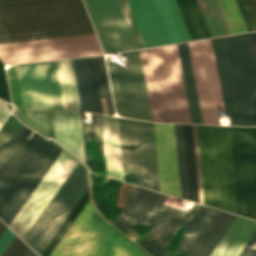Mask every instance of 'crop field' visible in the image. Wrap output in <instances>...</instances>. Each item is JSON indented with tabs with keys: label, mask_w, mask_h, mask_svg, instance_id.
<instances>
[{
	"label": "crop field",
	"mask_w": 256,
	"mask_h": 256,
	"mask_svg": "<svg viewBox=\"0 0 256 256\" xmlns=\"http://www.w3.org/2000/svg\"><path fill=\"white\" fill-rule=\"evenodd\" d=\"M197 130L204 204L256 219V126Z\"/></svg>",
	"instance_id": "crop-field-1"
},
{
	"label": "crop field",
	"mask_w": 256,
	"mask_h": 256,
	"mask_svg": "<svg viewBox=\"0 0 256 256\" xmlns=\"http://www.w3.org/2000/svg\"><path fill=\"white\" fill-rule=\"evenodd\" d=\"M170 198L136 187L113 224L126 234L135 222L154 226L140 245L153 256H159L171 237L187 223L177 250L185 256H200L228 213L195 204L190 212L184 214L163 207ZM186 203L172 197L166 207L182 210Z\"/></svg>",
	"instance_id": "crop-field-2"
},
{
	"label": "crop field",
	"mask_w": 256,
	"mask_h": 256,
	"mask_svg": "<svg viewBox=\"0 0 256 256\" xmlns=\"http://www.w3.org/2000/svg\"><path fill=\"white\" fill-rule=\"evenodd\" d=\"M90 34L81 0H0V43Z\"/></svg>",
	"instance_id": "crop-field-3"
},
{
	"label": "crop field",
	"mask_w": 256,
	"mask_h": 256,
	"mask_svg": "<svg viewBox=\"0 0 256 256\" xmlns=\"http://www.w3.org/2000/svg\"><path fill=\"white\" fill-rule=\"evenodd\" d=\"M212 41L225 111L230 113L232 125H256V73L248 33Z\"/></svg>",
	"instance_id": "crop-field-4"
},
{
	"label": "crop field",
	"mask_w": 256,
	"mask_h": 256,
	"mask_svg": "<svg viewBox=\"0 0 256 256\" xmlns=\"http://www.w3.org/2000/svg\"><path fill=\"white\" fill-rule=\"evenodd\" d=\"M139 53L153 121L191 123L176 45Z\"/></svg>",
	"instance_id": "crop-field-5"
},
{
	"label": "crop field",
	"mask_w": 256,
	"mask_h": 256,
	"mask_svg": "<svg viewBox=\"0 0 256 256\" xmlns=\"http://www.w3.org/2000/svg\"><path fill=\"white\" fill-rule=\"evenodd\" d=\"M61 149L34 132L0 181V219L7 225L20 210Z\"/></svg>",
	"instance_id": "crop-field-6"
},
{
	"label": "crop field",
	"mask_w": 256,
	"mask_h": 256,
	"mask_svg": "<svg viewBox=\"0 0 256 256\" xmlns=\"http://www.w3.org/2000/svg\"><path fill=\"white\" fill-rule=\"evenodd\" d=\"M124 181L160 191L153 123L118 118Z\"/></svg>",
	"instance_id": "crop-field-7"
},
{
	"label": "crop field",
	"mask_w": 256,
	"mask_h": 256,
	"mask_svg": "<svg viewBox=\"0 0 256 256\" xmlns=\"http://www.w3.org/2000/svg\"><path fill=\"white\" fill-rule=\"evenodd\" d=\"M146 47L190 40L174 0H127Z\"/></svg>",
	"instance_id": "crop-field-8"
},
{
	"label": "crop field",
	"mask_w": 256,
	"mask_h": 256,
	"mask_svg": "<svg viewBox=\"0 0 256 256\" xmlns=\"http://www.w3.org/2000/svg\"><path fill=\"white\" fill-rule=\"evenodd\" d=\"M87 188L86 171L78 163L24 241L41 255Z\"/></svg>",
	"instance_id": "crop-field-9"
},
{
	"label": "crop field",
	"mask_w": 256,
	"mask_h": 256,
	"mask_svg": "<svg viewBox=\"0 0 256 256\" xmlns=\"http://www.w3.org/2000/svg\"><path fill=\"white\" fill-rule=\"evenodd\" d=\"M128 65L109 63L108 72L117 114L152 121L138 51L121 53Z\"/></svg>",
	"instance_id": "crop-field-10"
},
{
	"label": "crop field",
	"mask_w": 256,
	"mask_h": 256,
	"mask_svg": "<svg viewBox=\"0 0 256 256\" xmlns=\"http://www.w3.org/2000/svg\"><path fill=\"white\" fill-rule=\"evenodd\" d=\"M103 55L95 35L0 45L4 64Z\"/></svg>",
	"instance_id": "crop-field-11"
},
{
	"label": "crop field",
	"mask_w": 256,
	"mask_h": 256,
	"mask_svg": "<svg viewBox=\"0 0 256 256\" xmlns=\"http://www.w3.org/2000/svg\"><path fill=\"white\" fill-rule=\"evenodd\" d=\"M16 67L24 107L64 110L55 61Z\"/></svg>",
	"instance_id": "crop-field-12"
},
{
	"label": "crop field",
	"mask_w": 256,
	"mask_h": 256,
	"mask_svg": "<svg viewBox=\"0 0 256 256\" xmlns=\"http://www.w3.org/2000/svg\"><path fill=\"white\" fill-rule=\"evenodd\" d=\"M106 53L138 48L118 0H84Z\"/></svg>",
	"instance_id": "crop-field-13"
},
{
	"label": "crop field",
	"mask_w": 256,
	"mask_h": 256,
	"mask_svg": "<svg viewBox=\"0 0 256 256\" xmlns=\"http://www.w3.org/2000/svg\"><path fill=\"white\" fill-rule=\"evenodd\" d=\"M74 159L62 151L45 177L10 224V228L22 239L77 165Z\"/></svg>",
	"instance_id": "crop-field-14"
},
{
	"label": "crop field",
	"mask_w": 256,
	"mask_h": 256,
	"mask_svg": "<svg viewBox=\"0 0 256 256\" xmlns=\"http://www.w3.org/2000/svg\"><path fill=\"white\" fill-rule=\"evenodd\" d=\"M107 227L89 200L50 256H87Z\"/></svg>",
	"instance_id": "crop-field-15"
},
{
	"label": "crop field",
	"mask_w": 256,
	"mask_h": 256,
	"mask_svg": "<svg viewBox=\"0 0 256 256\" xmlns=\"http://www.w3.org/2000/svg\"><path fill=\"white\" fill-rule=\"evenodd\" d=\"M212 37L231 34L217 0H197ZM196 0H176L192 40L211 37Z\"/></svg>",
	"instance_id": "crop-field-16"
},
{
	"label": "crop field",
	"mask_w": 256,
	"mask_h": 256,
	"mask_svg": "<svg viewBox=\"0 0 256 256\" xmlns=\"http://www.w3.org/2000/svg\"><path fill=\"white\" fill-rule=\"evenodd\" d=\"M188 45H189L192 66H193V71H194V76H195V81H196V86H197V91H198V96H199V101H200L203 122H204V124H211L209 112H208L207 101H206V96H205V91H204V86H203L201 70H200V65H199V60H198L196 44H195V42H191V43H188ZM188 45H187V43H184V44L177 45V47H178V52H179L184 82H185V88H186V94H187V99H188V104H189L191 121H192V123L203 124L200 107H199L197 91H196V86H195V81H194V76H193V71H192V66H191Z\"/></svg>",
	"instance_id": "crop-field-17"
},
{
	"label": "crop field",
	"mask_w": 256,
	"mask_h": 256,
	"mask_svg": "<svg viewBox=\"0 0 256 256\" xmlns=\"http://www.w3.org/2000/svg\"><path fill=\"white\" fill-rule=\"evenodd\" d=\"M154 128L161 191L181 198L174 124Z\"/></svg>",
	"instance_id": "crop-field-18"
},
{
	"label": "crop field",
	"mask_w": 256,
	"mask_h": 256,
	"mask_svg": "<svg viewBox=\"0 0 256 256\" xmlns=\"http://www.w3.org/2000/svg\"><path fill=\"white\" fill-rule=\"evenodd\" d=\"M199 60L204 80V86L209 106L212 124L220 125L219 117H223L224 105L212 47V41L203 40L196 42Z\"/></svg>",
	"instance_id": "crop-field-19"
},
{
	"label": "crop field",
	"mask_w": 256,
	"mask_h": 256,
	"mask_svg": "<svg viewBox=\"0 0 256 256\" xmlns=\"http://www.w3.org/2000/svg\"><path fill=\"white\" fill-rule=\"evenodd\" d=\"M72 61L82 111L103 114L92 57Z\"/></svg>",
	"instance_id": "crop-field-20"
},
{
	"label": "crop field",
	"mask_w": 256,
	"mask_h": 256,
	"mask_svg": "<svg viewBox=\"0 0 256 256\" xmlns=\"http://www.w3.org/2000/svg\"><path fill=\"white\" fill-rule=\"evenodd\" d=\"M56 141L85 163L79 112L53 111Z\"/></svg>",
	"instance_id": "crop-field-21"
},
{
	"label": "crop field",
	"mask_w": 256,
	"mask_h": 256,
	"mask_svg": "<svg viewBox=\"0 0 256 256\" xmlns=\"http://www.w3.org/2000/svg\"><path fill=\"white\" fill-rule=\"evenodd\" d=\"M102 127L107 176L123 181L117 118L102 115Z\"/></svg>",
	"instance_id": "crop-field-22"
},
{
	"label": "crop field",
	"mask_w": 256,
	"mask_h": 256,
	"mask_svg": "<svg viewBox=\"0 0 256 256\" xmlns=\"http://www.w3.org/2000/svg\"><path fill=\"white\" fill-rule=\"evenodd\" d=\"M256 230V221L237 216L211 256H238Z\"/></svg>",
	"instance_id": "crop-field-23"
},
{
	"label": "crop field",
	"mask_w": 256,
	"mask_h": 256,
	"mask_svg": "<svg viewBox=\"0 0 256 256\" xmlns=\"http://www.w3.org/2000/svg\"><path fill=\"white\" fill-rule=\"evenodd\" d=\"M66 110L81 111L71 61H57Z\"/></svg>",
	"instance_id": "crop-field-24"
},
{
	"label": "crop field",
	"mask_w": 256,
	"mask_h": 256,
	"mask_svg": "<svg viewBox=\"0 0 256 256\" xmlns=\"http://www.w3.org/2000/svg\"><path fill=\"white\" fill-rule=\"evenodd\" d=\"M189 200L198 202V189L191 125H182Z\"/></svg>",
	"instance_id": "crop-field-25"
},
{
	"label": "crop field",
	"mask_w": 256,
	"mask_h": 256,
	"mask_svg": "<svg viewBox=\"0 0 256 256\" xmlns=\"http://www.w3.org/2000/svg\"><path fill=\"white\" fill-rule=\"evenodd\" d=\"M128 241L109 225L88 256H118Z\"/></svg>",
	"instance_id": "crop-field-26"
},
{
	"label": "crop field",
	"mask_w": 256,
	"mask_h": 256,
	"mask_svg": "<svg viewBox=\"0 0 256 256\" xmlns=\"http://www.w3.org/2000/svg\"><path fill=\"white\" fill-rule=\"evenodd\" d=\"M95 70L99 85L100 96L106 97L109 115L114 114L112 98L110 93V87L108 82L107 70L105 65V59L103 56L93 57ZM102 107L104 114L108 115L105 98L101 97Z\"/></svg>",
	"instance_id": "crop-field-27"
},
{
	"label": "crop field",
	"mask_w": 256,
	"mask_h": 256,
	"mask_svg": "<svg viewBox=\"0 0 256 256\" xmlns=\"http://www.w3.org/2000/svg\"><path fill=\"white\" fill-rule=\"evenodd\" d=\"M232 34L247 31L235 0H218Z\"/></svg>",
	"instance_id": "crop-field-28"
},
{
	"label": "crop field",
	"mask_w": 256,
	"mask_h": 256,
	"mask_svg": "<svg viewBox=\"0 0 256 256\" xmlns=\"http://www.w3.org/2000/svg\"><path fill=\"white\" fill-rule=\"evenodd\" d=\"M16 114L24 122L49 136L47 111H30L16 107Z\"/></svg>",
	"instance_id": "crop-field-29"
},
{
	"label": "crop field",
	"mask_w": 256,
	"mask_h": 256,
	"mask_svg": "<svg viewBox=\"0 0 256 256\" xmlns=\"http://www.w3.org/2000/svg\"><path fill=\"white\" fill-rule=\"evenodd\" d=\"M90 195H89V190L86 191V193L83 195V197L81 198V200L78 202V204L76 205V207L73 209V211L71 212V214L69 215V217L66 219V221L64 222V224L61 226V228L59 229V231L57 232V234L54 236V238L52 239V241L49 243V245L47 246V248L45 249V251L42 253L41 256H49V254L51 253V251L54 249V247L56 246V244L59 242V240L61 239V237L64 235V233L66 232V230L69 228V226L71 225V223L74 221V219L76 218V216L79 214V212L81 211V209L84 207V205L86 204V202L89 200Z\"/></svg>",
	"instance_id": "crop-field-30"
},
{
	"label": "crop field",
	"mask_w": 256,
	"mask_h": 256,
	"mask_svg": "<svg viewBox=\"0 0 256 256\" xmlns=\"http://www.w3.org/2000/svg\"><path fill=\"white\" fill-rule=\"evenodd\" d=\"M32 130H30L29 128L26 127V129L23 131V133L21 134V136L18 138V140L16 141V143L13 145V147L11 148V150L8 152V154L6 155V157L3 159V161L0 164V179L1 177L4 175V173L6 172V170L9 168V166L11 165V163L13 162V160L16 158V156L18 155V153L21 151V149L23 148V146L26 144V142L28 141V136L31 133ZM33 134V131L31 133V135ZM30 135V136H31ZM29 136V138H30Z\"/></svg>",
	"instance_id": "crop-field-31"
},
{
	"label": "crop field",
	"mask_w": 256,
	"mask_h": 256,
	"mask_svg": "<svg viewBox=\"0 0 256 256\" xmlns=\"http://www.w3.org/2000/svg\"><path fill=\"white\" fill-rule=\"evenodd\" d=\"M182 198L188 200L181 125L175 124Z\"/></svg>",
	"instance_id": "crop-field-32"
},
{
	"label": "crop field",
	"mask_w": 256,
	"mask_h": 256,
	"mask_svg": "<svg viewBox=\"0 0 256 256\" xmlns=\"http://www.w3.org/2000/svg\"><path fill=\"white\" fill-rule=\"evenodd\" d=\"M92 116L94 125H82L84 141L102 140L101 115Z\"/></svg>",
	"instance_id": "crop-field-33"
},
{
	"label": "crop field",
	"mask_w": 256,
	"mask_h": 256,
	"mask_svg": "<svg viewBox=\"0 0 256 256\" xmlns=\"http://www.w3.org/2000/svg\"><path fill=\"white\" fill-rule=\"evenodd\" d=\"M7 77L13 104L23 107L15 65L8 68Z\"/></svg>",
	"instance_id": "crop-field-34"
},
{
	"label": "crop field",
	"mask_w": 256,
	"mask_h": 256,
	"mask_svg": "<svg viewBox=\"0 0 256 256\" xmlns=\"http://www.w3.org/2000/svg\"><path fill=\"white\" fill-rule=\"evenodd\" d=\"M235 218H236L235 215L229 214V216L227 217L225 222L222 224V226L220 227V229L218 230V232L216 233L214 238L211 240V242L209 243V245L207 246V248L205 249V251L201 256L211 255V253L213 252V250L215 249L219 241L222 239V237L224 236V234L226 233V231L228 230V228L230 227V225L232 224Z\"/></svg>",
	"instance_id": "crop-field-35"
},
{
	"label": "crop field",
	"mask_w": 256,
	"mask_h": 256,
	"mask_svg": "<svg viewBox=\"0 0 256 256\" xmlns=\"http://www.w3.org/2000/svg\"><path fill=\"white\" fill-rule=\"evenodd\" d=\"M18 238L15 236L2 256H23L25 254L29 247Z\"/></svg>",
	"instance_id": "crop-field-36"
},
{
	"label": "crop field",
	"mask_w": 256,
	"mask_h": 256,
	"mask_svg": "<svg viewBox=\"0 0 256 256\" xmlns=\"http://www.w3.org/2000/svg\"><path fill=\"white\" fill-rule=\"evenodd\" d=\"M192 129H193V139H194V149H195V159H196V169H197V179H198V189H199V199H200V203L203 204L196 125H192Z\"/></svg>",
	"instance_id": "crop-field-37"
},
{
	"label": "crop field",
	"mask_w": 256,
	"mask_h": 256,
	"mask_svg": "<svg viewBox=\"0 0 256 256\" xmlns=\"http://www.w3.org/2000/svg\"><path fill=\"white\" fill-rule=\"evenodd\" d=\"M119 1H120L121 5H122V8H123V10H124V13H125V15H126V18H127V20H128V23H129L130 28H131V30H132V33H133V35H134V37H135V40H136V42H137L138 47H139V48L144 47L143 44H142V41H141V39H140V36H139V34H138V31H137V29H136L135 23H134V21H133V18H132V16H131V13H130V11H129V8H128V6H127L126 1H125V0H119Z\"/></svg>",
	"instance_id": "crop-field-38"
},
{
	"label": "crop field",
	"mask_w": 256,
	"mask_h": 256,
	"mask_svg": "<svg viewBox=\"0 0 256 256\" xmlns=\"http://www.w3.org/2000/svg\"><path fill=\"white\" fill-rule=\"evenodd\" d=\"M0 98L11 103L4 66L0 62Z\"/></svg>",
	"instance_id": "crop-field-39"
},
{
	"label": "crop field",
	"mask_w": 256,
	"mask_h": 256,
	"mask_svg": "<svg viewBox=\"0 0 256 256\" xmlns=\"http://www.w3.org/2000/svg\"><path fill=\"white\" fill-rule=\"evenodd\" d=\"M240 13L248 31L256 30L244 0H236Z\"/></svg>",
	"instance_id": "crop-field-40"
},
{
	"label": "crop field",
	"mask_w": 256,
	"mask_h": 256,
	"mask_svg": "<svg viewBox=\"0 0 256 256\" xmlns=\"http://www.w3.org/2000/svg\"><path fill=\"white\" fill-rule=\"evenodd\" d=\"M17 128L6 125L0 133V152L3 150L5 145L8 143L12 135L15 133Z\"/></svg>",
	"instance_id": "crop-field-41"
},
{
	"label": "crop field",
	"mask_w": 256,
	"mask_h": 256,
	"mask_svg": "<svg viewBox=\"0 0 256 256\" xmlns=\"http://www.w3.org/2000/svg\"><path fill=\"white\" fill-rule=\"evenodd\" d=\"M14 234L11 232V230L7 227V229L4 231L2 236L0 237V256L4 252V250L7 248L11 240L14 238Z\"/></svg>",
	"instance_id": "crop-field-42"
},
{
	"label": "crop field",
	"mask_w": 256,
	"mask_h": 256,
	"mask_svg": "<svg viewBox=\"0 0 256 256\" xmlns=\"http://www.w3.org/2000/svg\"><path fill=\"white\" fill-rule=\"evenodd\" d=\"M120 256H147L144 252H142L138 247H136L133 243L129 242L125 249L122 251Z\"/></svg>",
	"instance_id": "crop-field-43"
},
{
	"label": "crop field",
	"mask_w": 256,
	"mask_h": 256,
	"mask_svg": "<svg viewBox=\"0 0 256 256\" xmlns=\"http://www.w3.org/2000/svg\"><path fill=\"white\" fill-rule=\"evenodd\" d=\"M251 243L256 244V232L254 233V235L252 236V238L250 239V241L248 242V244L246 245V247L243 249L239 256H256V250L249 249Z\"/></svg>",
	"instance_id": "crop-field-44"
},
{
	"label": "crop field",
	"mask_w": 256,
	"mask_h": 256,
	"mask_svg": "<svg viewBox=\"0 0 256 256\" xmlns=\"http://www.w3.org/2000/svg\"><path fill=\"white\" fill-rule=\"evenodd\" d=\"M24 125L21 124V126L19 127L18 131L15 133V135L12 137V139L10 140V142L7 144V146L5 147V149L2 151V153L0 154V161L1 159L4 157V155L6 154V152L9 150V148L11 147V145L14 143V141L16 140V138L19 136V134L21 133V131L24 129Z\"/></svg>",
	"instance_id": "crop-field-45"
},
{
	"label": "crop field",
	"mask_w": 256,
	"mask_h": 256,
	"mask_svg": "<svg viewBox=\"0 0 256 256\" xmlns=\"http://www.w3.org/2000/svg\"><path fill=\"white\" fill-rule=\"evenodd\" d=\"M256 27V0H245Z\"/></svg>",
	"instance_id": "crop-field-46"
},
{
	"label": "crop field",
	"mask_w": 256,
	"mask_h": 256,
	"mask_svg": "<svg viewBox=\"0 0 256 256\" xmlns=\"http://www.w3.org/2000/svg\"><path fill=\"white\" fill-rule=\"evenodd\" d=\"M10 111L4 106V102L0 100V126L9 115Z\"/></svg>",
	"instance_id": "crop-field-47"
},
{
	"label": "crop field",
	"mask_w": 256,
	"mask_h": 256,
	"mask_svg": "<svg viewBox=\"0 0 256 256\" xmlns=\"http://www.w3.org/2000/svg\"><path fill=\"white\" fill-rule=\"evenodd\" d=\"M256 68V32L249 33Z\"/></svg>",
	"instance_id": "crop-field-48"
},
{
	"label": "crop field",
	"mask_w": 256,
	"mask_h": 256,
	"mask_svg": "<svg viewBox=\"0 0 256 256\" xmlns=\"http://www.w3.org/2000/svg\"><path fill=\"white\" fill-rule=\"evenodd\" d=\"M24 256H37L30 248Z\"/></svg>",
	"instance_id": "crop-field-49"
},
{
	"label": "crop field",
	"mask_w": 256,
	"mask_h": 256,
	"mask_svg": "<svg viewBox=\"0 0 256 256\" xmlns=\"http://www.w3.org/2000/svg\"><path fill=\"white\" fill-rule=\"evenodd\" d=\"M6 225H4L1 221H0V236L3 233V231L6 229Z\"/></svg>",
	"instance_id": "crop-field-50"
}]
</instances>
